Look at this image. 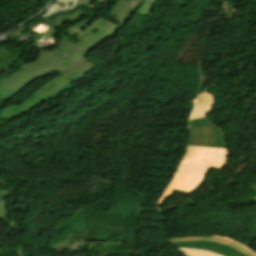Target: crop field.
Masks as SVG:
<instances>
[{
    "mask_svg": "<svg viewBox=\"0 0 256 256\" xmlns=\"http://www.w3.org/2000/svg\"><path fill=\"white\" fill-rule=\"evenodd\" d=\"M144 0H119L106 20L89 16L66 28L59 45L53 51L40 52L36 62L25 63L21 71L8 79H0V96L12 99L36 79L58 71L70 83L94 68L84 56L121 28Z\"/></svg>",
    "mask_w": 256,
    "mask_h": 256,
    "instance_id": "8a807250",
    "label": "crop field"
},
{
    "mask_svg": "<svg viewBox=\"0 0 256 256\" xmlns=\"http://www.w3.org/2000/svg\"><path fill=\"white\" fill-rule=\"evenodd\" d=\"M227 149L189 146L183 162L159 200L161 205L175 192L191 194L200 188L210 169H221Z\"/></svg>",
    "mask_w": 256,
    "mask_h": 256,
    "instance_id": "ac0d7876",
    "label": "crop field"
},
{
    "mask_svg": "<svg viewBox=\"0 0 256 256\" xmlns=\"http://www.w3.org/2000/svg\"><path fill=\"white\" fill-rule=\"evenodd\" d=\"M86 15H88V14L78 10L76 12L70 13V14L60 17L58 19L51 20V21H48V22L42 24V25H44V28H42V29H39L38 26L30 28L31 31L39 34L38 36L34 37L30 41L38 40L41 38H44V39L48 38L55 42L57 32L63 27V25H65L71 21H74L76 19H79L83 16H86Z\"/></svg>",
    "mask_w": 256,
    "mask_h": 256,
    "instance_id": "34b2d1b8",
    "label": "crop field"
},
{
    "mask_svg": "<svg viewBox=\"0 0 256 256\" xmlns=\"http://www.w3.org/2000/svg\"><path fill=\"white\" fill-rule=\"evenodd\" d=\"M178 247L202 249L213 253L220 254L222 256H246L241 252L230 248L226 245L219 244L211 241H187V242H174Z\"/></svg>",
    "mask_w": 256,
    "mask_h": 256,
    "instance_id": "412701ff",
    "label": "crop field"
},
{
    "mask_svg": "<svg viewBox=\"0 0 256 256\" xmlns=\"http://www.w3.org/2000/svg\"><path fill=\"white\" fill-rule=\"evenodd\" d=\"M212 104V95L206 92L200 95L196 100L193 114L190 120L205 117V115L209 113Z\"/></svg>",
    "mask_w": 256,
    "mask_h": 256,
    "instance_id": "f4fd0767",
    "label": "crop field"
},
{
    "mask_svg": "<svg viewBox=\"0 0 256 256\" xmlns=\"http://www.w3.org/2000/svg\"><path fill=\"white\" fill-rule=\"evenodd\" d=\"M72 1L73 0H55L39 19H44L53 14L70 9Z\"/></svg>",
    "mask_w": 256,
    "mask_h": 256,
    "instance_id": "dd49c442",
    "label": "crop field"
},
{
    "mask_svg": "<svg viewBox=\"0 0 256 256\" xmlns=\"http://www.w3.org/2000/svg\"><path fill=\"white\" fill-rule=\"evenodd\" d=\"M172 242L173 241H186V240H211V241H217V242H220V243H223V244H226L230 247H233V248H236L238 249L239 251H241L242 253L248 255V256H256L254 255L253 253L247 251L246 249L238 246V245H235L225 239H220V238H213V237H182V238H174V239H170Z\"/></svg>",
    "mask_w": 256,
    "mask_h": 256,
    "instance_id": "e52e79f7",
    "label": "crop field"
},
{
    "mask_svg": "<svg viewBox=\"0 0 256 256\" xmlns=\"http://www.w3.org/2000/svg\"><path fill=\"white\" fill-rule=\"evenodd\" d=\"M158 0H145L137 13L148 16Z\"/></svg>",
    "mask_w": 256,
    "mask_h": 256,
    "instance_id": "d8731c3e",
    "label": "crop field"
},
{
    "mask_svg": "<svg viewBox=\"0 0 256 256\" xmlns=\"http://www.w3.org/2000/svg\"><path fill=\"white\" fill-rule=\"evenodd\" d=\"M187 256H218L215 254H211L205 251L200 250H190V249H183L182 250Z\"/></svg>",
    "mask_w": 256,
    "mask_h": 256,
    "instance_id": "5a996713",
    "label": "crop field"
},
{
    "mask_svg": "<svg viewBox=\"0 0 256 256\" xmlns=\"http://www.w3.org/2000/svg\"><path fill=\"white\" fill-rule=\"evenodd\" d=\"M19 56L0 62V74L8 73L9 66L14 62L18 61Z\"/></svg>",
    "mask_w": 256,
    "mask_h": 256,
    "instance_id": "3316defc",
    "label": "crop field"
},
{
    "mask_svg": "<svg viewBox=\"0 0 256 256\" xmlns=\"http://www.w3.org/2000/svg\"><path fill=\"white\" fill-rule=\"evenodd\" d=\"M7 216L6 205L4 200L0 201V219L5 220Z\"/></svg>",
    "mask_w": 256,
    "mask_h": 256,
    "instance_id": "28ad6ade",
    "label": "crop field"
},
{
    "mask_svg": "<svg viewBox=\"0 0 256 256\" xmlns=\"http://www.w3.org/2000/svg\"><path fill=\"white\" fill-rule=\"evenodd\" d=\"M14 55H15V54L9 53V52H7L6 50H4V49H2V48L0 47V60L9 58V57L14 56Z\"/></svg>",
    "mask_w": 256,
    "mask_h": 256,
    "instance_id": "d1516ede",
    "label": "crop field"
},
{
    "mask_svg": "<svg viewBox=\"0 0 256 256\" xmlns=\"http://www.w3.org/2000/svg\"><path fill=\"white\" fill-rule=\"evenodd\" d=\"M91 2H92V0H77V2H76L74 7L78 8L80 6L90 5Z\"/></svg>",
    "mask_w": 256,
    "mask_h": 256,
    "instance_id": "22f410ed",
    "label": "crop field"
},
{
    "mask_svg": "<svg viewBox=\"0 0 256 256\" xmlns=\"http://www.w3.org/2000/svg\"><path fill=\"white\" fill-rule=\"evenodd\" d=\"M214 237H221V238H225V239H227V240H230V241H232V242H234V243H236V244H238V245L242 246L241 244L237 243V242H236V241H234L233 239L228 238V237H225V236H219V235H216V236H214ZM242 247H244V246H242ZM244 248H246V247H244ZM246 249H248L249 251H251V252H253L254 254H256V252H255V251H253V250H251V249H249V248H246Z\"/></svg>",
    "mask_w": 256,
    "mask_h": 256,
    "instance_id": "cbeb9de0",
    "label": "crop field"
},
{
    "mask_svg": "<svg viewBox=\"0 0 256 256\" xmlns=\"http://www.w3.org/2000/svg\"><path fill=\"white\" fill-rule=\"evenodd\" d=\"M8 196V194L0 191V200L5 199V197ZM10 196V195H9Z\"/></svg>",
    "mask_w": 256,
    "mask_h": 256,
    "instance_id": "5142ce71",
    "label": "crop field"
},
{
    "mask_svg": "<svg viewBox=\"0 0 256 256\" xmlns=\"http://www.w3.org/2000/svg\"><path fill=\"white\" fill-rule=\"evenodd\" d=\"M4 102H6V101L0 97V105H1L2 103H4Z\"/></svg>",
    "mask_w": 256,
    "mask_h": 256,
    "instance_id": "d9b57169",
    "label": "crop field"
},
{
    "mask_svg": "<svg viewBox=\"0 0 256 256\" xmlns=\"http://www.w3.org/2000/svg\"><path fill=\"white\" fill-rule=\"evenodd\" d=\"M106 0H99L98 3H104Z\"/></svg>",
    "mask_w": 256,
    "mask_h": 256,
    "instance_id": "733c2abd",
    "label": "crop field"
}]
</instances>
